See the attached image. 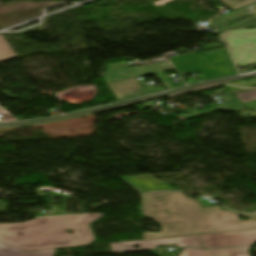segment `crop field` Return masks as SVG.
<instances>
[{
	"instance_id": "8a807250",
	"label": "crop field",
	"mask_w": 256,
	"mask_h": 256,
	"mask_svg": "<svg viewBox=\"0 0 256 256\" xmlns=\"http://www.w3.org/2000/svg\"><path fill=\"white\" fill-rule=\"evenodd\" d=\"M141 203L142 214L162 225L159 233L143 232V240L256 228V215L235 214L216 207L203 209L183 193L143 195ZM237 215L250 219L241 221Z\"/></svg>"
},
{
	"instance_id": "ac0d7876",
	"label": "crop field",
	"mask_w": 256,
	"mask_h": 256,
	"mask_svg": "<svg viewBox=\"0 0 256 256\" xmlns=\"http://www.w3.org/2000/svg\"><path fill=\"white\" fill-rule=\"evenodd\" d=\"M101 213L84 216L37 218L25 223L0 224V241L24 250L84 246L95 241L88 225L103 217ZM72 229L74 234H68ZM77 236V238H74Z\"/></svg>"
},
{
	"instance_id": "34b2d1b8",
	"label": "crop field",
	"mask_w": 256,
	"mask_h": 256,
	"mask_svg": "<svg viewBox=\"0 0 256 256\" xmlns=\"http://www.w3.org/2000/svg\"><path fill=\"white\" fill-rule=\"evenodd\" d=\"M168 59L180 75L201 73V81L237 74L225 47Z\"/></svg>"
},
{
	"instance_id": "412701ff",
	"label": "crop field",
	"mask_w": 256,
	"mask_h": 256,
	"mask_svg": "<svg viewBox=\"0 0 256 256\" xmlns=\"http://www.w3.org/2000/svg\"><path fill=\"white\" fill-rule=\"evenodd\" d=\"M221 35L229 42L237 66L256 63V29L227 30ZM229 37L232 39L228 40Z\"/></svg>"
},
{
	"instance_id": "f4fd0767",
	"label": "crop field",
	"mask_w": 256,
	"mask_h": 256,
	"mask_svg": "<svg viewBox=\"0 0 256 256\" xmlns=\"http://www.w3.org/2000/svg\"><path fill=\"white\" fill-rule=\"evenodd\" d=\"M178 244L179 247L204 248L198 235L157 240L109 244L112 252L156 248L157 245ZM139 246L134 249L133 246ZM177 245V246H178Z\"/></svg>"
},
{
	"instance_id": "dd49c442",
	"label": "crop field",
	"mask_w": 256,
	"mask_h": 256,
	"mask_svg": "<svg viewBox=\"0 0 256 256\" xmlns=\"http://www.w3.org/2000/svg\"><path fill=\"white\" fill-rule=\"evenodd\" d=\"M206 248L250 245L256 242V230L200 235Z\"/></svg>"
},
{
	"instance_id": "e52e79f7",
	"label": "crop field",
	"mask_w": 256,
	"mask_h": 256,
	"mask_svg": "<svg viewBox=\"0 0 256 256\" xmlns=\"http://www.w3.org/2000/svg\"><path fill=\"white\" fill-rule=\"evenodd\" d=\"M134 189L142 192L152 191V190H174L175 188L169 186L168 184L160 181L150 174L139 175V176H128L120 177Z\"/></svg>"
},
{
	"instance_id": "d8731c3e",
	"label": "crop field",
	"mask_w": 256,
	"mask_h": 256,
	"mask_svg": "<svg viewBox=\"0 0 256 256\" xmlns=\"http://www.w3.org/2000/svg\"><path fill=\"white\" fill-rule=\"evenodd\" d=\"M56 249L42 251H23L0 242V256H53Z\"/></svg>"
},
{
	"instance_id": "5a996713",
	"label": "crop field",
	"mask_w": 256,
	"mask_h": 256,
	"mask_svg": "<svg viewBox=\"0 0 256 256\" xmlns=\"http://www.w3.org/2000/svg\"><path fill=\"white\" fill-rule=\"evenodd\" d=\"M251 246L247 247H235V248H223L209 250L215 256H249L248 250ZM211 253V254H212Z\"/></svg>"
},
{
	"instance_id": "3316defc",
	"label": "crop field",
	"mask_w": 256,
	"mask_h": 256,
	"mask_svg": "<svg viewBox=\"0 0 256 256\" xmlns=\"http://www.w3.org/2000/svg\"><path fill=\"white\" fill-rule=\"evenodd\" d=\"M3 37L0 35V62L16 57V54L13 52Z\"/></svg>"
},
{
	"instance_id": "28ad6ade",
	"label": "crop field",
	"mask_w": 256,
	"mask_h": 256,
	"mask_svg": "<svg viewBox=\"0 0 256 256\" xmlns=\"http://www.w3.org/2000/svg\"><path fill=\"white\" fill-rule=\"evenodd\" d=\"M227 8L235 10L256 2V0H220Z\"/></svg>"
},
{
	"instance_id": "d1516ede",
	"label": "crop field",
	"mask_w": 256,
	"mask_h": 256,
	"mask_svg": "<svg viewBox=\"0 0 256 256\" xmlns=\"http://www.w3.org/2000/svg\"><path fill=\"white\" fill-rule=\"evenodd\" d=\"M179 256H212L206 250L184 249Z\"/></svg>"
},
{
	"instance_id": "22f410ed",
	"label": "crop field",
	"mask_w": 256,
	"mask_h": 256,
	"mask_svg": "<svg viewBox=\"0 0 256 256\" xmlns=\"http://www.w3.org/2000/svg\"><path fill=\"white\" fill-rule=\"evenodd\" d=\"M0 113L2 115V117L0 118L2 122L17 120L11 114H9L5 109H3L1 106H0Z\"/></svg>"
},
{
	"instance_id": "cbeb9de0",
	"label": "crop field",
	"mask_w": 256,
	"mask_h": 256,
	"mask_svg": "<svg viewBox=\"0 0 256 256\" xmlns=\"http://www.w3.org/2000/svg\"><path fill=\"white\" fill-rule=\"evenodd\" d=\"M7 205H8L7 203L0 201V212H4Z\"/></svg>"
},
{
	"instance_id": "5142ce71",
	"label": "crop field",
	"mask_w": 256,
	"mask_h": 256,
	"mask_svg": "<svg viewBox=\"0 0 256 256\" xmlns=\"http://www.w3.org/2000/svg\"><path fill=\"white\" fill-rule=\"evenodd\" d=\"M256 15V7L251 8Z\"/></svg>"
}]
</instances>
